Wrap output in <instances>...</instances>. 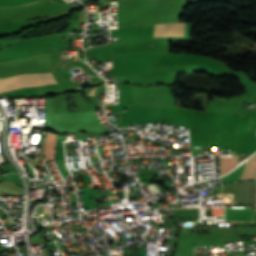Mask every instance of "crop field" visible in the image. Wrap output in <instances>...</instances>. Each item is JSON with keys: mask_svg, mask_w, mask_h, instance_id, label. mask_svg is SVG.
<instances>
[{"mask_svg": "<svg viewBox=\"0 0 256 256\" xmlns=\"http://www.w3.org/2000/svg\"><path fill=\"white\" fill-rule=\"evenodd\" d=\"M56 83L52 73L25 74L0 79V93L27 86ZM28 88V87H27Z\"/></svg>", "mask_w": 256, "mask_h": 256, "instance_id": "8a807250", "label": "crop field"}, {"mask_svg": "<svg viewBox=\"0 0 256 256\" xmlns=\"http://www.w3.org/2000/svg\"><path fill=\"white\" fill-rule=\"evenodd\" d=\"M183 28L182 23L156 25L154 37L183 36Z\"/></svg>", "mask_w": 256, "mask_h": 256, "instance_id": "ac0d7876", "label": "crop field"}, {"mask_svg": "<svg viewBox=\"0 0 256 256\" xmlns=\"http://www.w3.org/2000/svg\"><path fill=\"white\" fill-rule=\"evenodd\" d=\"M241 188L240 204L255 203L256 198V182L247 181L239 183Z\"/></svg>", "mask_w": 256, "mask_h": 256, "instance_id": "34b2d1b8", "label": "crop field"}, {"mask_svg": "<svg viewBox=\"0 0 256 256\" xmlns=\"http://www.w3.org/2000/svg\"><path fill=\"white\" fill-rule=\"evenodd\" d=\"M242 179H256V156L245 162V169L240 180Z\"/></svg>", "mask_w": 256, "mask_h": 256, "instance_id": "412701ff", "label": "crop field"}, {"mask_svg": "<svg viewBox=\"0 0 256 256\" xmlns=\"http://www.w3.org/2000/svg\"><path fill=\"white\" fill-rule=\"evenodd\" d=\"M55 134H48L46 137V149H45V159H54L55 154Z\"/></svg>", "mask_w": 256, "mask_h": 256, "instance_id": "f4fd0767", "label": "crop field"}, {"mask_svg": "<svg viewBox=\"0 0 256 256\" xmlns=\"http://www.w3.org/2000/svg\"><path fill=\"white\" fill-rule=\"evenodd\" d=\"M221 175L230 171L237 165L236 157L219 158Z\"/></svg>", "mask_w": 256, "mask_h": 256, "instance_id": "dd49c442", "label": "crop field"}]
</instances>
